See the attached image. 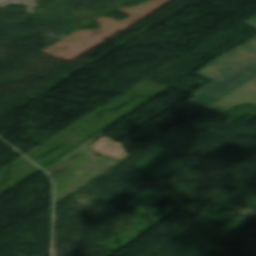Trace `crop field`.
I'll return each instance as SVG.
<instances>
[{
  "label": "crop field",
  "mask_w": 256,
  "mask_h": 256,
  "mask_svg": "<svg viewBox=\"0 0 256 256\" xmlns=\"http://www.w3.org/2000/svg\"><path fill=\"white\" fill-rule=\"evenodd\" d=\"M256 74V54L199 89L189 102L207 106Z\"/></svg>",
  "instance_id": "1"
},
{
  "label": "crop field",
  "mask_w": 256,
  "mask_h": 256,
  "mask_svg": "<svg viewBox=\"0 0 256 256\" xmlns=\"http://www.w3.org/2000/svg\"><path fill=\"white\" fill-rule=\"evenodd\" d=\"M244 23L256 28V15ZM255 53L256 38L211 61L195 74L212 81Z\"/></svg>",
  "instance_id": "2"
},
{
  "label": "crop field",
  "mask_w": 256,
  "mask_h": 256,
  "mask_svg": "<svg viewBox=\"0 0 256 256\" xmlns=\"http://www.w3.org/2000/svg\"><path fill=\"white\" fill-rule=\"evenodd\" d=\"M246 103L256 106V77L212 104L207 109L222 114L238 105Z\"/></svg>",
  "instance_id": "3"
},
{
  "label": "crop field",
  "mask_w": 256,
  "mask_h": 256,
  "mask_svg": "<svg viewBox=\"0 0 256 256\" xmlns=\"http://www.w3.org/2000/svg\"><path fill=\"white\" fill-rule=\"evenodd\" d=\"M93 147L96 151L103 154L113 156L119 159L125 160L130 155L124 153L126 150L122 149L124 146L112 141L111 139L103 136L96 142H94Z\"/></svg>",
  "instance_id": "4"
}]
</instances>
